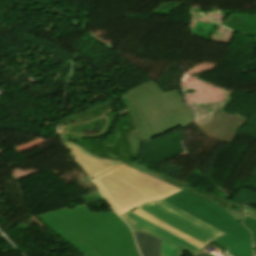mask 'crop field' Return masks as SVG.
Returning a JSON list of instances; mask_svg holds the SVG:
<instances>
[{
    "mask_svg": "<svg viewBox=\"0 0 256 256\" xmlns=\"http://www.w3.org/2000/svg\"><path fill=\"white\" fill-rule=\"evenodd\" d=\"M137 208L206 246L215 241L226 247L232 256H253L250 231L216 205L189 191Z\"/></svg>",
    "mask_w": 256,
    "mask_h": 256,
    "instance_id": "1",
    "label": "crop field"
},
{
    "mask_svg": "<svg viewBox=\"0 0 256 256\" xmlns=\"http://www.w3.org/2000/svg\"><path fill=\"white\" fill-rule=\"evenodd\" d=\"M37 217L86 256H140L130 228L113 212H92L85 204Z\"/></svg>",
    "mask_w": 256,
    "mask_h": 256,
    "instance_id": "2",
    "label": "crop field"
},
{
    "mask_svg": "<svg viewBox=\"0 0 256 256\" xmlns=\"http://www.w3.org/2000/svg\"><path fill=\"white\" fill-rule=\"evenodd\" d=\"M123 96L136 127L126 136L132 159L139 155L140 144L173 128H184L194 119L176 90L164 92L152 79L131 88Z\"/></svg>",
    "mask_w": 256,
    "mask_h": 256,
    "instance_id": "3",
    "label": "crop field"
},
{
    "mask_svg": "<svg viewBox=\"0 0 256 256\" xmlns=\"http://www.w3.org/2000/svg\"><path fill=\"white\" fill-rule=\"evenodd\" d=\"M93 182L119 215L147 201L169 197L180 189L121 164Z\"/></svg>",
    "mask_w": 256,
    "mask_h": 256,
    "instance_id": "4",
    "label": "crop field"
},
{
    "mask_svg": "<svg viewBox=\"0 0 256 256\" xmlns=\"http://www.w3.org/2000/svg\"><path fill=\"white\" fill-rule=\"evenodd\" d=\"M121 218L128 223L133 232L142 231L162 239V256H182L184 251L195 256L206 247L136 208L123 214Z\"/></svg>",
    "mask_w": 256,
    "mask_h": 256,
    "instance_id": "5",
    "label": "crop field"
},
{
    "mask_svg": "<svg viewBox=\"0 0 256 256\" xmlns=\"http://www.w3.org/2000/svg\"><path fill=\"white\" fill-rule=\"evenodd\" d=\"M125 164V163H124ZM127 165V164H126ZM130 167H133L139 171H142L148 175H151L155 178H158L164 182H167L173 186H176L180 189H187L193 193H195L197 196L207 199L210 202L218 205L220 208H222L224 211H226L228 214H230L232 217H234L236 220H238L240 223H242V216H243V204H235L227 199L218 198L214 195H211L205 191L199 190L197 188H191L186 182L175 180L171 178L170 176L160 172L153 166L141 161L137 160L134 163L128 165Z\"/></svg>",
    "mask_w": 256,
    "mask_h": 256,
    "instance_id": "6",
    "label": "crop field"
},
{
    "mask_svg": "<svg viewBox=\"0 0 256 256\" xmlns=\"http://www.w3.org/2000/svg\"><path fill=\"white\" fill-rule=\"evenodd\" d=\"M104 141L98 143L97 140L86 139L71 142L100 158L122 162L131 159L122 126L115 127L112 135Z\"/></svg>",
    "mask_w": 256,
    "mask_h": 256,
    "instance_id": "7",
    "label": "crop field"
},
{
    "mask_svg": "<svg viewBox=\"0 0 256 256\" xmlns=\"http://www.w3.org/2000/svg\"><path fill=\"white\" fill-rule=\"evenodd\" d=\"M64 144L90 178L122 163L97 158L71 142H64Z\"/></svg>",
    "mask_w": 256,
    "mask_h": 256,
    "instance_id": "8",
    "label": "crop field"
},
{
    "mask_svg": "<svg viewBox=\"0 0 256 256\" xmlns=\"http://www.w3.org/2000/svg\"><path fill=\"white\" fill-rule=\"evenodd\" d=\"M143 256H161V240L142 232L134 233Z\"/></svg>",
    "mask_w": 256,
    "mask_h": 256,
    "instance_id": "9",
    "label": "crop field"
},
{
    "mask_svg": "<svg viewBox=\"0 0 256 256\" xmlns=\"http://www.w3.org/2000/svg\"><path fill=\"white\" fill-rule=\"evenodd\" d=\"M244 225L250 229L253 235L256 236V220L249 217H244Z\"/></svg>",
    "mask_w": 256,
    "mask_h": 256,
    "instance_id": "10",
    "label": "crop field"
},
{
    "mask_svg": "<svg viewBox=\"0 0 256 256\" xmlns=\"http://www.w3.org/2000/svg\"><path fill=\"white\" fill-rule=\"evenodd\" d=\"M245 215L256 219V210H254L253 208H251L248 205H245Z\"/></svg>",
    "mask_w": 256,
    "mask_h": 256,
    "instance_id": "11",
    "label": "crop field"
},
{
    "mask_svg": "<svg viewBox=\"0 0 256 256\" xmlns=\"http://www.w3.org/2000/svg\"><path fill=\"white\" fill-rule=\"evenodd\" d=\"M253 238V246L256 247V237L252 235ZM254 254L256 256V250L254 251Z\"/></svg>",
    "mask_w": 256,
    "mask_h": 256,
    "instance_id": "12",
    "label": "crop field"
},
{
    "mask_svg": "<svg viewBox=\"0 0 256 256\" xmlns=\"http://www.w3.org/2000/svg\"><path fill=\"white\" fill-rule=\"evenodd\" d=\"M196 256H208V255L205 254V253L200 252V253H198Z\"/></svg>",
    "mask_w": 256,
    "mask_h": 256,
    "instance_id": "13",
    "label": "crop field"
},
{
    "mask_svg": "<svg viewBox=\"0 0 256 256\" xmlns=\"http://www.w3.org/2000/svg\"><path fill=\"white\" fill-rule=\"evenodd\" d=\"M124 130H125V134L127 135L130 130H135V129H124Z\"/></svg>",
    "mask_w": 256,
    "mask_h": 256,
    "instance_id": "14",
    "label": "crop field"
},
{
    "mask_svg": "<svg viewBox=\"0 0 256 256\" xmlns=\"http://www.w3.org/2000/svg\"><path fill=\"white\" fill-rule=\"evenodd\" d=\"M131 162H133V161H132V160H130V161H127L126 163H128V164H129V163H131Z\"/></svg>",
    "mask_w": 256,
    "mask_h": 256,
    "instance_id": "15",
    "label": "crop field"
}]
</instances>
